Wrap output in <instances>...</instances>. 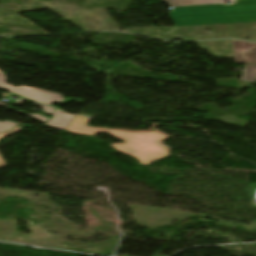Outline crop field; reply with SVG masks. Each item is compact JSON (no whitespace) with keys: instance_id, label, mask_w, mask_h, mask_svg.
Returning a JSON list of instances; mask_svg holds the SVG:
<instances>
[{"instance_id":"8a807250","label":"crop field","mask_w":256,"mask_h":256,"mask_svg":"<svg viewBox=\"0 0 256 256\" xmlns=\"http://www.w3.org/2000/svg\"><path fill=\"white\" fill-rule=\"evenodd\" d=\"M174 10L168 13L177 26L256 21V0H166Z\"/></svg>"},{"instance_id":"ac0d7876","label":"crop field","mask_w":256,"mask_h":256,"mask_svg":"<svg viewBox=\"0 0 256 256\" xmlns=\"http://www.w3.org/2000/svg\"><path fill=\"white\" fill-rule=\"evenodd\" d=\"M87 121V118L74 116L66 131L86 135H96L98 132L109 133L113 137L126 142L125 144H110L111 146L125 155L135 157L141 164H148L152 159L168 155L167 148L158 144L160 140L168 137L155 130L152 132H128L84 127ZM129 151L132 152L130 153Z\"/></svg>"},{"instance_id":"34b2d1b8","label":"crop field","mask_w":256,"mask_h":256,"mask_svg":"<svg viewBox=\"0 0 256 256\" xmlns=\"http://www.w3.org/2000/svg\"><path fill=\"white\" fill-rule=\"evenodd\" d=\"M7 78L0 72V89L11 91L23 98L37 101L46 105L53 106L54 104L64 101L63 96L59 94L50 93L36 88L31 87H14L6 84Z\"/></svg>"},{"instance_id":"412701ff","label":"crop field","mask_w":256,"mask_h":256,"mask_svg":"<svg viewBox=\"0 0 256 256\" xmlns=\"http://www.w3.org/2000/svg\"><path fill=\"white\" fill-rule=\"evenodd\" d=\"M72 118L73 115H69L55 109L53 113V118L45 126H49L64 131L65 127Z\"/></svg>"},{"instance_id":"f4fd0767","label":"crop field","mask_w":256,"mask_h":256,"mask_svg":"<svg viewBox=\"0 0 256 256\" xmlns=\"http://www.w3.org/2000/svg\"><path fill=\"white\" fill-rule=\"evenodd\" d=\"M236 63H256V48L235 55Z\"/></svg>"},{"instance_id":"dd49c442","label":"crop field","mask_w":256,"mask_h":256,"mask_svg":"<svg viewBox=\"0 0 256 256\" xmlns=\"http://www.w3.org/2000/svg\"><path fill=\"white\" fill-rule=\"evenodd\" d=\"M240 80L256 82V65H245Z\"/></svg>"},{"instance_id":"e52e79f7","label":"crop field","mask_w":256,"mask_h":256,"mask_svg":"<svg viewBox=\"0 0 256 256\" xmlns=\"http://www.w3.org/2000/svg\"><path fill=\"white\" fill-rule=\"evenodd\" d=\"M234 55L256 47V43L232 40Z\"/></svg>"},{"instance_id":"d8731c3e","label":"crop field","mask_w":256,"mask_h":256,"mask_svg":"<svg viewBox=\"0 0 256 256\" xmlns=\"http://www.w3.org/2000/svg\"><path fill=\"white\" fill-rule=\"evenodd\" d=\"M16 125H17V123H13V122H9V121L0 122V132L7 131Z\"/></svg>"},{"instance_id":"5a996713","label":"crop field","mask_w":256,"mask_h":256,"mask_svg":"<svg viewBox=\"0 0 256 256\" xmlns=\"http://www.w3.org/2000/svg\"><path fill=\"white\" fill-rule=\"evenodd\" d=\"M9 109H13V108L9 107ZM13 110H15V109H13ZM15 111H18V110H15ZM18 112H20V111H18ZM20 113L25 114L27 116H30L34 119H37V120L41 121V122H46L48 120L47 118H45V117H43L39 114H26V113H23V112H20Z\"/></svg>"},{"instance_id":"3316defc","label":"crop field","mask_w":256,"mask_h":256,"mask_svg":"<svg viewBox=\"0 0 256 256\" xmlns=\"http://www.w3.org/2000/svg\"><path fill=\"white\" fill-rule=\"evenodd\" d=\"M20 129H21V128L17 126L16 128H14V129H13L12 131H10V132L0 134V138L4 137L5 135L12 134V133H14V132H16V131H18V130H20ZM5 166H6L5 162H4V160L2 159V157L0 156V168H1V167H5Z\"/></svg>"},{"instance_id":"28ad6ade","label":"crop field","mask_w":256,"mask_h":256,"mask_svg":"<svg viewBox=\"0 0 256 256\" xmlns=\"http://www.w3.org/2000/svg\"><path fill=\"white\" fill-rule=\"evenodd\" d=\"M34 104H35L36 106L40 107V108H43L44 111H45V114L51 115L52 112L54 111V109H52V108H49V107H46V106H42V105H39V104H36V103H34Z\"/></svg>"},{"instance_id":"d1516ede","label":"crop field","mask_w":256,"mask_h":256,"mask_svg":"<svg viewBox=\"0 0 256 256\" xmlns=\"http://www.w3.org/2000/svg\"><path fill=\"white\" fill-rule=\"evenodd\" d=\"M72 100H73V99L66 100V101L62 102L61 104L64 105V104H66V103H68V102H70V101H72Z\"/></svg>"},{"instance_id":"22f410ed","label":"crop field","mask_w":256,"mask_h":256,"mask_svg":"<svg viewBox=\"0 0 256 256\" xmlns=\"http://www.w3.org/2000/svg\"><path fill=\"white\" fill-rule=\"evenodd\" d=\"M0 105L5 106L6 104H5V103L0 102Z\"/></svg>"}]
</instances>
